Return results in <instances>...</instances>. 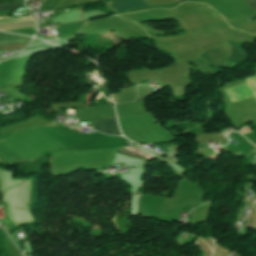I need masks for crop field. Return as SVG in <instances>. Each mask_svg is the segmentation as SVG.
<instances>
[{
  "label": "crop field",
  "instance_id": "obj_1",
  "mask_svg": "<svg viewBox=\"0 0 256 256\" xmlns=\"http://www.w3.org/2000/svg\"><path fill=\"white\" fill-rule=\"evenodd\" d=\"M108 9L115 12L146 6L142 0H116L106 3Z\"/></svg>",
  "mask_w": 256,
  "mask_h": 256
},
{
  "label": "crop field",
  "instance_id": "obj_2",
  "mask_svg": "<svg viewBox=\"0 0 256 256\" xmlns=\"http://www.w3.org/2000/svg\"><path fill=\"white\" fill-rule=\"evenodd\" d=\"M97 130L110 135H121L118 130L117 121L115 118L113 119H103V120H95Z\"/></svg>",
  "mask_w": 256,
  "mask_h": 256
},
{
  "label": "crop field",
  "instance_id": "obj_3",
  "mask_svg": "<svg viewBox=\"0 0 256 256\" xmlns=\"http://www.w3.org/2000/svg\"><path fill=\"white\" fill-rule=\"evenodd\" d=\"M31 38L25 36H16L0 32V45H6L18 42H29Z\"/></svg>",
  "mask_w": 256,
  "mask_h": 256
},
{
  "label": "crop field",
  "instance_id": "obj_4",
  "mask_svg": "<svg viewBox=\"0 0 256 256\" xmlns=\"http://www.w3.org/2000/svg\"><path fill=\"white\" fill-rule=\"evenodd\" d=\"M27 22H36V20H35V18L32 19L31 15L0 18V24L27 23Z\"/></svg>",
  "mask_w": 256,
  "mask_h": 256
},
{
  "label": "crop field",
  "instance_id": "obj_5",
  "mask_svg": "<svg viewBox=\"0 0 256 256\" xmlns=\"http://www.w3.org/2000/svg\"><path fill=\"white\" fill-rule=\"evenodd\" d=\"M126 148L129 149V150H131V151H133V152H135V153H137V154H139V155H141V156H143V157H145V158H147V159H149V160L152 159V158H150V157H148V156H146V155H144V154H142V153H140V152H138V151H136V150H134V149H132V148H130V147H126ZM116 151H117V152H120V153H123V154H126V155H129V156H131V157H134V158H137V159L146 161V159H144V158H142V157H140V156H138V155H136V154H134V153H132V152H130V151L124 149V148H122V149H117Z\"/></svg>",
  "mask_w": 256,
  "mask_h": 256
},
{
  "label": "crop field",
  "instance_id": "obj_6",
  "mask_svg": "<svg viewBox=\"0 0 256 256\" xmlns=\"http://www.w3.org/2000/svg\"><path fill=\"white\" fill-rule=\"evenodd\" d=\"M19 7H20V2L0 4V11L11 10V9L19 8Z\"/></svg>",
  "mask_w": 256,
  "mask_h": 256
},
{
  "label": "crop field",
  "instance_id": "obj_7",
  "mask_svg": "<svg viewBox=\"0 0 256 256\" xmlns=\"http://www.w3.org/2000/svg\"><path fill=\"white\" fill-rule=\"evenodd\" d=\"M245 2L256 12V0H245Z\"/></svg>",
  "mask_w": 256,
  "mask_h": 256
}]
</instances>
